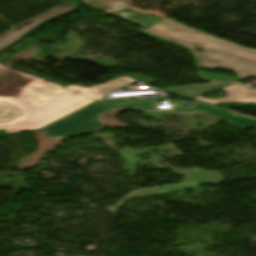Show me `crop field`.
I'll return each instance as SVG.
<instances>
[{
	"mask_svg": "<svg viewBox=\"0 0 256 256\" xmlns=\"http://www.w3.org/2000/svg\"><path fill=\"white\" fill-rule=\"evenodd\" d=\"M43 79L0 65V129H39L91 102Z\"/></svg>",
	"mask_w": 256,
	"mask_h": 256,
	"instance_id": "crop-field-1",
	"label": "crop field"
},
{
	"mask_svg": "<svg viewBox=\"0 0 256 256\" xmlns=\"http://www.w3.org/2000/svg\"><path fill=\"white\" fill-rule=\"evenodd\" d=\"M142 32L191 50L197 58L199 70H224L235 73L237 78L201 72L202 77L215 81H240L242 77L256 76V50L236 45L207 35L175 22L169 18ZM201 48L203 52L195 51ZM245 75L247 77H245Z\"/></svg>",
	"mask_w": 256,
	"mask_h": 256,
	"instance_id": "crop-field-2",
	"label": "crop field"
},
{
	"mask_svg": "<svg viewBox=\"0 0 256 256\" xmlns=\"http://www.w3.org/2000/svg\"><path fill=\"white\" fill-rule=\"evenodd\" d=\"M122 107H138L148 111H170L173 113L178 111L180 114L202 112L214 118L218 122L227 120L230 121L228 124H232L242 129H246L250 126L256 128V118L244 116L231 110L211 107L200 102L190 108L175 106L174 109L160 110L158 109L155 100H144L127 102H95L40 131L46 139L75 136L99 131L102 130L99 115Z\"/></svg>",
	"mask_w": 256,
	"mask_h": 256,
	"instance_id": "crop-field-3",
	"label": "crop field"
},
{
	"mask_svg": "<svg viewBox=\"0 0 256 256\" xmlns=\"http://www.w3.org/2000/svg\"><path fill=\"white\" fill-rule=\"evenodd\" d=\"M128 3L129 0H83V4L145 27L163 19L158 14L133 11L128 7Z\"/></svg>",
	"mask_w": 256,
	"mask_h": 256,
	"instance_id": "crop-field-4",
	"label": "crop field"
},
{
	"mask_svg": "<svg viewBox=\"0 0 256 256\" xmlns=\"http://www.w3.org/2000/svg\"><path fill=\"white\" fill-rule=\"evenodd\" d=\"M72 9H74V8L67 2V3L60 5L52 10H49V11L23 23V24L13 26L12 30L0 35V50L2 48H4L5 46L13 43L17 39H19L20 37H22L23 35L28 33L29 31H31L32 29H34L36 26H38L43 21H45L53 16H56L61 13L72 10Z\"/></svg>",
	"mask_w": 256,
	"mask_h": 256,
	"instance_id": "crop-field-5",
	"label": "crop field"
},
{
	"mask_svg": "<svg viewBox=\"0 0 256 256\" xmlns=\"http://www.w3.org/2000/svg\"><path fill=\"white\" fill-rule=\"evenodd\" d=\"M228 92L227 97L221 99H208L201 96L192 98L199 101L211 103L214 105L229 103V102H256V91L246 87L234 84L221 89Z\"/></svg>",
	"mask_w": 256,
	"mask_h": 256,
	"instance_id": "crop-field-6",
	"label": "crop field"
},
{
	"mask_svg": "<svg viewBox=\"0 0 256 256\" xmlns=\"http://www.w3.org/2000/svg\"><path fill=\"white\" fill-rule=\"evenodd\" d=\"M134 81L135 80L130 79L128 77H119L117 79L106 82L102 85L92 86L91 88L81 87L75 90L74 92L84 94L94 99H103L106 91L120 87V86L124 87Z\"/></svg>",
	"mask_w": 256,
	"mask_h": 256,
	"instance_id": "crop-field-7",
	"label": "crop field"
},
{
	"mask_svg": "<svg viewBox=\"0 0 256 256\" xmlns=\"http://www.w3.org/2000/svg\"><path fill=\"white\" fill-rule=\"evenodd\" d=\"M231 84L233 83H216L214 85H209V86L187 87L182 89L170 90L166 92L173 95H181V96L192 98V97H195V96H198V95H201L209 91L222 88Z\"/></svg>",
	"mask_w": 256,
	"mask_h": 256,
	"instance_id": "crop-field-8",
	"label": "crop field"
},
{
	"mask_svg": "<svg viewBox=\"0 0 256 256\" xmlns=\"http://www.w3.org/2000/svg\"><path fill=\"white\" fill-rule=\"evenodd\" d=\"M65 88H67V89H70V90H75V89H77V88H79L78 86H68V87H65Z\"/></svg>",
	"mask_w": 256,
	"mask_h": 256,
	"instance_id": "crop-field-9",
	"label": "crop field"
},
{
	"mask_svg": "<svg viewBox=\"0 0 256 256\" xmlns=\"http://www.w3.org/2000/svg\"><path fill=\"white\" fill-rule=\"evenodd\" d=\"M6 137L4 131H0V138Z\"/></svg>",
	"mask_w": 256,
	"mask_h": 256,
	"instance_id": "crop-field-10",
	"label": "crop field"
},
{
	"mask_svg": "<svg viewBox=\"0 0 256 256\" xmlns=\"http://www.w3.org/2000/svg\"><path fill=\"white\" fill-rule=\"evenodd\" d=\"M61 3L66 2V0H59Z\"/></svg>",
	"mask_w": 256,
	"mask_h": 256,
	"instance_id": "crop-field-11",
	"label": "crop field"
}]
</instances>
